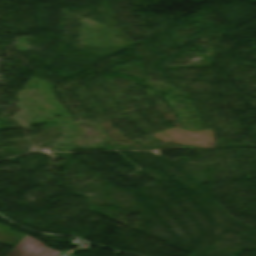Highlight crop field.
<instances>
[{"label":"crop field","instance_id":"crop-field-1","mask_svg":"<svg viewBox=\"0 0 256 256\" xmlns=\"http://www.w3.org/2000/svg\"><path fill=\"white\" fill-rule=\"evenodd\" d=\"M10 228L0 224V243L15 247L6 256H56L60 253L29 236L11 231Z\"/></svg>","mask_w":256,"mask_h":256}]
</instances>
